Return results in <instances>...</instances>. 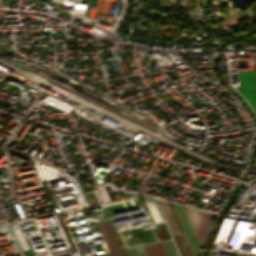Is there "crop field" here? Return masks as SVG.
I'll use <instances>...</instances> for the list:
<instances>
[{"label":"crop field","instance_id":"3","mask_svg":"<svg viewBox=\"0 0 256 256\" xmlns=\"http://www.w3.org/2000/svg\"><path fill=\"white\" fill-rule=\"evenodd\" d=\"M158 201H159V203L161 205V208L164 212V215H165L166 220L169 224V227L171 229L172 234L175 235V234L181 233L180 230H179V227L177 225V222L175 220V217L172 213V210L170 208L169 203L166 202V201H160V200H158Z\"/></svg>","mask_w":256,"mask_h":256},{"label":"crop field","instance_id":"2","mask_svg":"<svg viewBox=\"0 0 256 256\" xmlns=\"http://www.w3.org/2000/svg\"><path fill=\"white\" fill-rule=\"evenodd\" d=\"M239 93L243 95L256 112V71L237 72Z\"/></svg>","mask_w":256,"mask_h":256},{"label":"crop field","instance_id":"1","mask_svg":"<svg viewBox=\"0 0 256 256\" xmlns=\"http://www.w3.org/2000/svg\"><path fill=\"white\" fill-rule=\"evenodd\" d=\"M190 225L202 244L214 214L185 207Z\"/></svg>","mask_w":256,"mask_h":256}]
</instances>
